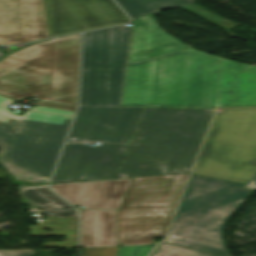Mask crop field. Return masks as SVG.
Here are the masks:
<instances>
[{
    "instance_id": "1",
    "label": "crop field",
    "mask_w": 256,
    "mask_h": 256,
    "mask_svg": "<svg viewBox=\"0 0 256 256\" xmlns=\"http://www.w3.org/2000/svg\"><path fill=\"white\" fill-rule=\"evenodd\" d=\"M219 58L192 48L129 64L122 106L216 108Z\"/></svg>"
},
{
    "instance_id": "2",
    "label": "crop field",
    "mask_w": 256,
    "mask_h": 256,
    "mask_svg": "<svg viewBox=\"0 0 256 256\" xmlns=\"http://www.w3.org/2000/svg\"><path fill=\"white\" fill-rule=\"evenodd\" d=\"M213 113L144 108L116 178L189 173Z\"/></svg>"
},
{
    "instance_id": "3",
    "label": "crop field",
    "mask_w": 256,
    "mask_h": 256,
    "mask_svg": "<svg viewBox=\"0 0 256 256\" xmlns=\"http://www.w3.org/2000/svg\"><path fill=\"white\" fill-rule=\"evenodd\" d=\"M80 34L38 42L0 61V95L76 106Z\"/></svg>"
},
{
    "instance_id": "4",
    "label": "crop field",
    "mask_w": 256,
    "mask_h": 256,
    "mask_svg": "<svg viewBox=\"0 0 256 256\" xmlns=\"http://www.w3.org/2000/svg\"><path fill=\"white\" fill-rule=\"evenodd\" d=\"M244 185L191 174L163 242L230 256L223 231L228 218L252 192Z\"/></svg>"
},
{
    "instance_id": "5",
    "label": "crop field",
    "mask_w": 256,
    "mask_h": 256,
    "mask_svg": "<svg viewBox=\"0 0 256 256\" xmlns=\"http://www.w3.org/2000/svg\"><path fill=\"white\" fill-rule=\"evenodd\" d=\"M14 101L0 96V147L7 150L1 164L14 179L47 183L72 118L32 111L20 116L7 109Z\"/></svg>"
},
{
    "instance_id": "6",
    "label": "crop field",
    "mask_w": 256,
    "mask_h": 256,
    "mask_svg": "<svg viewBox=\"0 0 256 256\" xmlns=\"http://www.w3.org/2000/svg\"><path fill=\"white\" fill-rule=\"evenodd\" d=\"M191 173L250 180L256 173V107L214 114Z\"/></svg>"
},
{
    "instance_id": "7",
    "label": "crop field",
    "mask_w": 256,
    "mask_h": 256,
    "mask_svg": "<svg viewBox=\"0 0 256 256\" xmlns=\"http://www.w3.org/2000/svg\"><path fill=\"white\" fill-rule=\"evenodd\" d=\"M187 175L132 179L118 211L120 245L151 244L153 236H164Z\"/></svg>"
},
{
    "instance_id": "8",
    "label": "crop field",
    "mask_w": 256,
    "mask_h": 256,
    "mask_svg": "<svg viewBox=\"0 0 256 256\" xmlns=\"http://www.w3.org/2000/svg\"><path fill=\"white\" fill-rule=\"evenodd\" d=\"M131 27L87 32L82 43L80 106H119Z\"/></svg>"
},
{
    "instance_id": "9",
    "label": "crop field",
    "mask_w": 256,
    "mask_h": 256,
    "mask_svg": "<svg viewBox=\"0 0 256 256\" xmlns=\"http://www.w3.org/2000/svg\"><path fill=\"white\" fill-rule=\"evenodd\" d=\"M129 145L66 144L51 183L115 178Z\"/></svg>"
},
{
    "instance_id": "10",
    "label": "crop field",
    "mask_w": 256,
    "mask_h": 256,
    "mask_svg": "<svg viewBox=\"0 0 256 256\" xmlns=\"http://www.w3.org/2000/svg\"><path fill=\"white\" fill-rule=\"evenodd\" d=\"M143 108L79 107L66 143L107 141L129 144Z\"/></svg>"
},
{
    "instance_id": "11",
    "label": "crop field",
    "mask_w": 256,
    "mask_h": 256,
    "mask_svg": "<svg viewBox=\"0 0 256 256\" xmlns=\"http://www.w3.org/2000/svg\"><path fill=\"white\" fill-rule=\"evenodd\" d=\"M51 37L128 22L112 0H47Z\"/></svg>"
},
{
    "instance_id": "12",
    "label": "crop field",
    "mask_w": 256,
    "mask_h": 256,
    "mask_svg": "<svg viewBox=\"0 0 256 256\" xmlns=\"http://www.w3.org/2000/svg\"><path fill=\"white\" fill-rule=\"evenodd\" d=\"M47 37L44 0H0V45Z\"/></svg>"
},
{
    "instance_id": "13",
    "label": "crop field",
    "mask_w": 256,
    "mask_h": 256,
    "mask_svg": "<svg viewBox=\"0 0 256 256\" xmlns=\"http://www.w3.org/2000/svg\"><path fill=\"white\" fill-rule=\"evenodd\" d=\"M131 179L56 184L51 188L70 204L85 209L119 208Z\"/></svg>"
},
{
    "instance_id": "14",
    "label": "crop field",
    "mask_w": 256,
    "mask_h": 256,
    "mask_svg": "<svg viewBox=\"0 0 256 256\" xmlns=\"http://www.w3.org/2000/svg\"><path fill=\"white\" fill-rule=\"evenodd\" d=\"M256 106V67L221 59L219 107Z\"/></svg>"
},
{
    "instance_id": "15",
    "label": "crop field",
    "mask_w": 256,
    "mask_h": 256,
    "mask_svg": "<svg viewBox=\"0 0 256 256\" xmlns=\"http://www.w3.org/2000/svg\"><path fill=\"white\" fill-rule=\"evenodd\" d=\"M189 48L161 31L152 14L134 19L129 63Z\"/></svg>"
},
{
    "instance_id": "16",
    "label": "crop field",
    "mask_w": 256,
    "mask_h": 256,
    "mask_svg": "<svg viewBox=\"0 0 256 256\" xmlns=\"http://www.w3.org/2000/svg\"><path fill=\"white\" fill-rule=\"evenodd\" d=\"M81 212V247L118 246L117 210Z\"/></svg>"
},
{
    "instance_id": "17",
    "label": "crop field",
    "mask_w": 256,
    "mask_h": 256,
    "mask_svg": "<svg viewBox=\"0 0 256 256\" xmlns=\"http://www.w3.org/2000/svg\"><path fill=\"white\" fill-rule=\"evenodd\" d=\"M31 235L37 236H66L67 242H48L41 247L62 246L63 248L77 247V217H46L43 226H28ZM43 227L52 229L50 232Z\"/></svg>"
},
{
    "instance_id": "18",
    "label": "crop field",
    "mask_w": 256,
    "mask_h": 256,
    "mask_svg": "<svg viewBox=\"0 0 256 256\" xmlns=\"http://www.w3.org/2000/svg\"><path fill=\"white\" fill-rule=\"evenodd\" d=\"M131 19L192 3L191 0H115Z\"/></svg>"
},
{
    "instance_id": "19",
    "label": "crop field",
    "mask_w": 256,
    "mask_h": 256,
    "mask_svg": "<svg viewBox=\"0 0 256 256\" xmlns=\"http://www.w3.org/2000/svg\"><path fill=\"white\" fill-rule=\"evenodd\" d=\"M20 194L30 201L39 204L45 215H77L76 211L60 212L64 206H69L64 201L52 194L47 186L20 188ZM45 208H57L56 210H45Z\"/></svg>"
},
{
    "instance_id": "20",
    "label": "crop field",
    "mask_w": 256,
    "mask_h": 256,
    "mask_svg": "<svg viewBox=\"0 0 256 256\" xmlns=\"http://www.w3.org/2000/svg\"><path fill=\"white\" fill-rule=\"evenodd\" d=\"M150 256H217L161 242Z\"/></svg>"
},
{
    "instance_id": "21",
    "label": "crop field",
    "mask_w": 256,
    "mask_h": 256,
    "mask_svg": "<svg viewBox=\"0 0 256 256\" xmlns=\"http://www.w3.org/2000/svg\"><path fill=\"white\" fill-rule=\"evenodd\" d=\"M180 8H182V9H184L202 19H205V20H207L225 30H228V29L236 26L235 24H233V23H231V22H229V21H227V20H225V19H223V18H221V17L195 5V4L180 7Z\"/></svg>"
},
{
    "instance_id": "22",
    "label": "crop field",
    "mask_w": 256,
    "mask_h": 256,
    "mask_svg": "<svg viewBox=\"0 0 256 256\" xmlns=\"http://www.w3.org/2000/svg\"><path fill=\"white\" fill-rule=\"evenodd\" d=\"M157 243L153 242L151 245L119 246L117 256H147L152 247Z\"/></svg>"
},
{
    "instance_id": "23",
    "label": "crop field",
    "mask_w": 256,
    "mask_h": 256,
    "mask_svg": "<svg viewBox=\"0 0 256 256\" xmlns=\"http://www.w3.org/2000/svg\"><path fill=\"white\" fill-rule=\"evenodd\" d=\"M117 247L84 248L83 256H115Z\"/></svg>"
},
{
    "instance_id": "24",
    "label": "crop field",
    "mask_w": 256,
    "mask_h": 256,
    "mask_svg": "<svg viewBox=\"0 0 256 256\" xmlns=\"http://www.w3.org/2000/svg\"><path fill=\"white\" fill-rule=\"evenodd\" d=\"M29 110L47 112V113H54V114H61V115H68V116H72L74 114L72 112H66V111L49 109V108L38 107V106H32V108L29 109Z\"/></svg>"
},
{
    "instance_id": "25",
    "label": "crop field",
    "mask_w": 256,
    "mask_h": 256,
    "mask_svg": "<svg viewBox=\"0 0 256 256\" xmlns=\"http://www.w3.org/2000/svg\"><path fill=\"white\" fill-rule=\"evenodd\" d=\"M33 250L24 251H0V256H31Z\"/></svg>"
},
{
    "instance_id": "26",
    "label": "crop field",
    "mask_w": 256,
    "mask_h": 256,
    "mask_svg": "<svg viewBox=\"0 0 256 256\" xmlns=\"http://www.w3.org/2000/svg\"><path fill=\"white\" fill-rule=\"evenodd\" d=\"M37 105L49 107V108L66 110V111H72V112H75V110H76V108H72V107H66V106H60V105H54V104H48V103H42V102H38Z\"/></svg>"
},
{
    "instance_id": "27",
    "label": "crop field",
    "mask_w": 256,
    "mask_h": 256,
    "mask_svg": "<svg viewBox=\"0 0 256 256\" xmlns=\"http://www.w3.org/2000/svg\"><path fill=\"white\" fill-rule=\"evenodd\" d=\"M252 190L256 189V174L251 178V180L244 186Z\"/></svg>"
},
{
    "instance_id": "28",
    "label": "crop field",
    "mask_w": 256,
    "mask_h": 256,
    "mask_svg": "<svg viewBox=\"0 0 256 256\" xmlns=\"http://www.w3.org/2000/svg\"><path fill=\"white\" fill-rule=\"evenodd\" d=\"M3 56H5V55H3V54L0 53V58L3 57Z\"/></svg>"
}]
</instances>
